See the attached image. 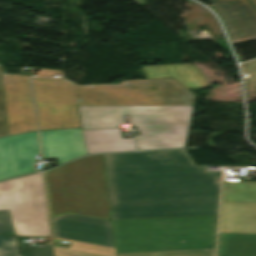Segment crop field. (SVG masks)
I'll use <instances>...</instances> for the list:
<instances>
[{
  "label": "crop field",
  "mask_w": 256,
  "mask_h": 256,
  "mask_svg": "<svg viewBox=\"0 0 256 256\" xmlns=\"http://www.w3.org/2000/svg\"><path fill=\"white\" fill-rule=\"evenodd\" d=\"M0 234L15 236L9 210H0Z\"/></svg>",
  "instance_id": "obj_19"
},
{
  "label": "crop field",
  "mask_w": 256,
  "mask_h": 256,
  "mask_svg": "<svg viewBox=\"0 0 256 256\" xmlns=\"http://www.w3.org/2000/svg\"><path fill=\"white\" fill-rule=\"evenodd\" d=\"M0 256H20L15 237L0 236Z\"/></svg>",
  "instance_id": "obj_16"
},
{
  "label": "crop field",
  "mask_w": 256,
  "mask_h": 256,
  "mask_svg": "<svg viewBox=\"0 0 256 256\" xmlns=\"http://www.w3.org/2000/svg\"><path fill=\"white\" fill-rule=\"evenodd\" d=\"M256 7V0H249Z\"/></svg>",
  "instance_id": "obj_22"
},
{
  "label": "crop field",
  "mask_w": 256,
  "mask_h": 256,
  "mask_svg": "<svg viewBox=\"0 0 256 256\" xmlns=\"http://www.w3.org/2000/svg\"><path fill=\"white\" fill-rule=\"evenodd\" d=\"M9 135L37 130L30 76L2 74Z\"/></svg>",
  "instance_id": "obj_8"
},
{
  "label": "crop field",
  "mask_w": 256,
  "mask_h": 256,
  "mask_svg": "<svg viewBox=\"0 0 256 256\" xmlns=\"http://www.w3.org/2000/svg\"><path fill=\"white\" fill-rule=\"evenodd\" d=\"M243 68L249 75L246 79L248 87L256 92V60L243 64Z\"/></svg>",
  "instance_id": "obj_20"
},
{
  "label": "crop field",
  "mask_w": 256,
  "mask_h": 256,
  "mask_svg": "<svg viewBox=\"0 0 256 256\" xmlns=\"http://www.w3.org/2000/svg\"><path fill=\"white\" fill-rule=\"evenodd\" d=\"M83 129L120 127L130 114L138 150L185 147L194 106H77Z\"/></svg>",
  "instance_id": "obj_4"
},
{
  "label": "crop field",
  "mask_w": 256,
  "mask_h": 256,
  "mask_svg": "<svg viewBox=\"0 0 256 256\" xmlns=\"http://www.w3.org/2000/svg\"><path fill=\"white\" fill-rule=\"evenodd\" d=\"M40 132L43 158L57 157L58 165L88 154L81 129Z\"/></svg>",
  "instance_id": "obj_12"
},
{
  "label": "crop field",
  "mask_w": 256,
  "mask_h": 256,
  "mask_svg": "<svg viewBox=\"0 0 256 256\" xmlns=\"http://www.w3.org/2000/svg\"><path fill=\"white\" fill-rule=\"evenodd\" d=\"M51 217L67 212L111 220L102 155L46 172Z\"/></svg>",
  "instance_id": "obj_5"
},
{
  "label": "crop field",
  "mask_w": 256,
  "mask_h": 256,
  "mask_svg": "<svg viewBox=\"0 0 256 256\" xmlns=\"http://www.w3.org/2000/svg\"><path fill=\"white\" fill-rule=\"evenodd\" d=\"M83 132L89 154L135 150L132 138L122 139L120 128Z\"/></svg>",
  "instance_id": "obj_13"
},
{
  "label": "crop field",
  "mask_w": 256,
  "mask_h": 256,
  "mask_svg": "<svg viewBox=\"0 0 256 256\" xmlns=\"http://www.w3.org/2000/svg\"><path fill=\"white\" fill-rule=\"evenodd\" d=\"M142 70L147 77H174L187 88L206 87L204 75L193 64L145 66Z\"/></svg>",
  "instance_id": "obj_14"
},
{
  "label": "crop field",
  "mask_w": 256,
  "mask_h": 256,
  "mask_svg": "<svg viewBox=\"0 0 256 256\" xmlns=\"http://www.w3.org/2000/svg\"><path fill=\"white\" fill-rule=\"evenodd\" d=\"M0 209H10L16 236H50L42 173L0 183Z\"/></svg>",
  "instance_id": "obj_7"
},
{
  "label": "crop field",
  "mask_w": 256,
  "mask_h": 256,
  "mask_svg": "<svg viewBox=\"0 0 256 256\" xmlns=\"http://www.w3.org/2000/svg\"><path fill=\"white\" fill-rule=\"evenodd\" d=\"M224 20L231 44L256 40V10L246 0H209Z\"/></svg>",
  "instance_id": "obj_11"
},
{
  "label": "crop field",
  "mask_w": 256,
  "mask_h": 256,
  "mask_svg": "<svg viewBox=\"0 0 256 256\" xmlns=\"http://www.w3.org/2000/svg\"><path fill=\"white\" fill-rule=\"evenodd\" d=\"M19 247L22 256H54L52 244L43 245V247L27 245H21Z\"/></svg>",
  "instance_id": "obj_17"
},
{
  "label": "crop field",
  "mask_w": 256,
  "mask_h": 256,
  "mask_svg": "<svg viewBox=\"0 0 256 256\" xmlns=\"http://www.w3.org/2000/svg\"><path fill=\"white\" fill-rule=\"evenodd\" d=\"M40 130L81 127L77 105H194L196 95L173 78L79 86L32 78Z\"/></svg>",
  "instance_id": "obj_2"
},
{
  "label": "crop field",
  "mask_w": 256,
  "mask_h": 256,
  "mask_svg": "<svg viewBox=\"0 0 256 256\" xmlns=\"http://www.w3.org/2000/svg\"><path fill=\"white\" fill-rule=\"evenodd\" d=\"M40 155L37 131L0 138V180L33 173Z\"/></svg>",
  "instance_id": "obj_9"
},
{
  "label": "crop field",
  "mask_w": 256,
  "mask_h": 256,
  "mask_svg": "<svg viewBox=\"0 0 256 256\" xmlns=\"http://www.w3.org/2000/svg\"><path fill=\"white\" fill-rule=\"evenodd\" d=\"M217 256H256V182L224 180Z\"/></svg>",
  "instance_id": "obj_6"
},
{
  "label": "crop field",
  "mask_w": 256,
  "mask_h": 256,
  "mask_svg": "<svg viewBox=\"0 0 256 256\" xmlns=\"http://www.w3.org/2000/svg\"><path fill=\"white\" fill-rule=\"evenodd\" d=\"M53 75H62V71L41 69L36 76L53 77Z\"/></svg>",
  "instance_id": "obj_21"
},
{
  "label": "crop field",
  "mask_w": 256,
  "mask_h": 256,
  "mask_svg": "<svg viewBox=\"0 0 256 256\" xmlns=\"http://www.w3.org/2000/svg\"><path fill=\"white\" fill-rule=\"evenodd\" d=\"M57 237L114 247L111 222L66 214L52 219Z\"/></svg>",
  "instance_id": "obj_10"
},
{
  "label": "crop field",
  "mask_w": 256,
  "mask_h": 256,
  "mask_svg": "<svg viewBox=\"0 0 256 256\" xmlns=\"http://www.w3.org/2000/svg\"><path fill=\"white\" fill-rule=\"evenodd\" d=\"M117 256H215L218 215L113 221Z\"/></svg>",
  "instance_id": "obj_3"
},
{
  "label": "crop field",
  "mask_w": 256,
  "mask_h": 256,
  "mask_svg": "<svg viewBox=\"0 0 256 256\" xmlns=\"http://www.w3.org/2000/svg\"><path fill=\"white\" fill-rule=\"evenodd\" d=\"M1 72L3 73L6 72L3 65H0V136H6L8 135V131H7Z\"/></svg>",
  "instance_id": "obj_18"
},
{
  "label": "crop field",
  "mask_w": 256,
  "mask_h": 256,
  "mask_svg": "<svg viewBox=\"0 0 256 256\" xmlns=\"http://www.w3.org/2000/svg\"><path fill=\"white\" fill-rule=\"evenodd\" d=\"M113 220L218 214L221 172L185 149L104 155Z\"/></svg>",
  "instance_id": "obj_1"
},
{
  "label": "crop field",
  "mask_w": 256,
  "mask_h": 256,
  "mask_svg": "<svg viewBox=\"0 0 256 256\" xmlns=\"http://www.w3.org/2000/svg\"><path fill=\"white\" fill-rule=\"evenodd\" d=\"M70 241L73 245L70 249L55 247L56 256H115L114 248L74 240L57 238Z\"/></svg>",
  "instance_id": "obj_15"
}]
</instances>
